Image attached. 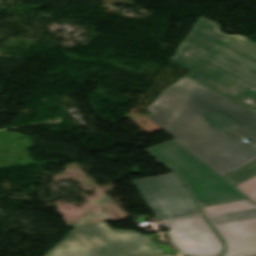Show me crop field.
I'll use <instances>...</instances> for the list:
<instances>
[{"label":"crop field","instance_id":"obj_2","mask_svg":"<svg viewBox=\"0 0 256 256\" xmlns=\"http://www.w3.org/2000/svg\"><path fill=\"white\" fill-rule=\"evenodd\" d=\"M171 61L193 71L185 77L249 108L256 107V43L223 35L200 17Z\"/></svg>","mask_w":256,"mask_h":256},{"label":"crop field","instance_id":"obj_4","mask_svg":"<svg viewBox=\"0 0 256 256\" xmlns=\"http://www.w3.org/2000/svg\"><path fill=\"white\" fill-rule=\"evenodd\" d=\"M203 209L226 243L223 256H256V203L246 199Z\"/></svg>","mask_w":256,"mask_h":256},{"label":"crop field","instance_id":"obj_5","mask_svg":"<svg viewBox=\"0 0 256 256\" xmlns=\"http://www.w3.org/2000/svg\"><path fill=\"white\" fill-rule=\"evenodd\" d=\"M133 182L159 221L201 213L173 173Z\"/></svg>","mask_w":256,"mask_h":256},{"label":"crop field","instance_id":"obj_6","mask_svg":"<svg viewBox=\"0 0 256 256\" xmlns=\"http://www.w3.org/2000/svg\"><path fill=\"white\" fill-rule=\"evenodd\" d=\"M105 223V222H104ZM102 221L75 226L102 256H140L164 253L148 235L110 229Z\"/></svg>","mask_w":256,"mask_h":256},{"label":"crop field","instance_id":"obj_3","mask_svg":"<svg viewBox=\"0 0 256 256\" xmlns=\"http://www.w3.org/2000/svg\"><path fill=\"white\" fill-rule=\"evenodd\" d=\"M146 151L181 178L198 206L246 197L175 140Z\"/></svg>","mask_w":256,"mask_h":256},{"label":"crop field","instance_id":"obj_8","mask_svg":"<svg viewBox=\"0 0 256 256\" xmlns=\"http://www.w3.org/2000/svg\"><path fill=\"white\" fill-rule=\"evenodd\" d=\"M46 256H101L76 230Z\"/></svg>","mask_w":256,"mask_h":256},{"label":"crop field","instance_id":"obj_10","mask_svg":"<svg viewBox=\"0 0 256 256\" xmlns=\"http://www.w3.org/2000/svg\"><path fill=\"white\" fill-rule=\"evenodd\" d=\"M235 187L247 195L253 202H256V176Z\"/></svg>","mask_w":256,"mask_h":256},{"label":"crop field","instance_id":"obj_9","mask_svg":"<svg viewBox=\"0 0 256 256\" xmlns=\"http://www.w3.org/2000/svg\"><path fill=\"white\" fill-rule=\"evenodd\" d=\"M256 175V161L224 176L232 184L237 185Z\"/></svg>","mask_w":256,"mask_h":256},{"label":"crop field","instance_id":"obj_7","mask_svg":"<svg viewBox=\"0 0 256 256\" xmlns=\"http://www.w3.org/2000/svg\"><path fill=\"white\" fill-rule=\"evenodd\" d=\"M169 242L185 256H220L223 244L203 215L163 223Z\"/></svg>","mask_w":256,"mask_h":256},{"label":"crop field","instance_id":"obj_12","mask_svg":"<svg viewBox=\"0 0 256 256\" xmlns=\"http://www.w3.org/2000/svg\"><path fill=\"white\" fill-rule=\"evenodd\" d=\"M255 110V109H254ZM256 111V110H255Z\"/></svg>","mask_w":256,"mask_h":256},{"label":"crop field","instance_id":"obj_11","mask_svg":"<svg viewBox=\"0 0 256 256\" xmlns=\"http://www.w3.org/2000/svg\"><path fill=\"white\" fill-rule=\"evenodd\" d=\"M152 240L165 252V253H171V254H176L168 245H161L160 243H158L157 241H155L153 238L154 237H158V234H153V235H149Z\"/></svg>","mask_w":256,"mask_h":256},{"label":"crop field","instance_id":"obj_1","mask_svg":"<svg viewBox=\"0 0 256 256\" xmlns=\"http://www.w3.org/2000/svg\"><path fill=\"white\" fill-rule=\"evenodd\" d=\"M147 109L148 118L221 176L256 159V145L236 137L256 143V114L185 77Z\"/></svg>","mask_w":256,"mask_h":256}]
</instances>
